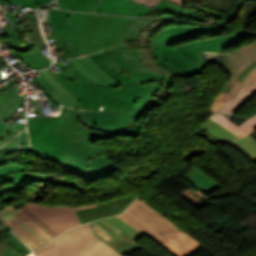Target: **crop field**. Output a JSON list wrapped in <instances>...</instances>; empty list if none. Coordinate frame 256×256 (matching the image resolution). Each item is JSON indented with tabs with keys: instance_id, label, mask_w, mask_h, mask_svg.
Listing matches in <instances>:
<instances>
[{
	"instance_id": "8a807250",
	"label": "crop field",
	"mask_w": 256,
	"mask_h": 256,
	"mask_svg": "<svg viewBox=\"0 0 256 256\" xmlns=\"http://www.w3.org/2000/svg\"><path fill=\"white\" fill-rule=\"evenodd\" d=\"M228 29L230 27L226 25L186 26L170 27L159 32L153 40L152 51L159 63L166 66L169 72L155 65L149 56V50L129 51L126 44L117 45L88 57L70 59V62L79 72L100 86H111L123 91L134 83L165 80L163 87L169 88L175 76L187 77L202 72L206 63L200 55L201 52H219L252 36L253 33L239 29L220 38L188 43L174 48L168 46L177 41Z\"/></svg>"
},
{
	"instance_id": "ac0d7876",
	"label": "crop field",
	"mask_w": 256,
	"mask_h": 256,
	"mask_svg": "<svg viewBox=\"0 0 256 256\" xmlns=\"http://www.w3.org/2000/svg\"><path fill=\"white\" fill-rule=\"evenodd\" d=\"M134 19L70 12L66 32L77 57L123 43V33Z\"/></svg>"
},
{
	"instance_id": "34b2d1b8",
	"label": "crop field",
	"mask_w": 256,
	"mask_h": 256,
	"mask_svg": "<svg viewBox=\"0 0 256 256\" xmlns=\"http://www.w3.org/2000/svg\"><path fill=\"white\" fill-rule=\"evenodd\" d=\"M147 235L173 256H189L201 245L140 199L117 216Z\"/></svg>"
},
{
	"instance_id": "412701ff",
	"label": "crop field",
	"mask_w": 256,
	"mask_h": 256,
	"mask_svg": "<svg viewBox=\"0 0 256 256\" xmlns=\"http://www.w3.org/2000/svg\"><path fill=\"white\" fill-rule=\"evenodd\" d=\"M164 81L134 84L121 92L111 87L61 83L80 100L79 108L90 110L141 109Z\"/></svg>"
},
{
	"instance_id": "f4fd0767",
	"label": "crop field",
	"mask_w": 256,
	"mask_h": 256,
	"mask_svg": "<svg viewBox=\"0 0 256 256\" xmlns=\"http://www.w3.org/2000/svg\"><path fill=\"white\" fill-rule=\"evenodd\" d=\"M35 154L47 162L60 166L82 177L88 183L108 177L120 170L105 156L99 153L88 139L69 142L65 161Z\"/></svg>"
},
{
	"instance_id": "dd49c442",
	"label": "crop field",
	"mask_w": 256,
	"mask_h": 256,
	"mask_svg": "<svg viewBox=\"0 0 256 256\" xmlns=\"http://www.w3.org/2000/svg\"><path fill=\"white\" fill-rule=\"evenodd\" d=\"M101 242L93 235L90 226L85 224L68 230L34 254L36 256H120Z\"/></svg>"
},
{
	"instance_id": "e52e79f7",
	"label": "crop field",
	"mask_w": 256,
	"mask_h": 256,
	"mask_svg": "<svg viewBox=\"0 0 256 256\" xmlns=\"http://www.w3.org/2000/svg\"><path fill=\"white\" fill-rule=\"evenodd\" d=\"M17 204L6 206L0 210V223H4L11 227L16 235L32 250L43 246L48 243L35 231H33L24 222L30 220L43 232H45L52 239L58 235L52 228L38 218L33 212H31L25 206L15 209ZM9 227V228H10Z\"/></svg>"
},
{
	"instance_id": "d8731c3e",
	"label": "crop field",
	"mask_w": 256,
	"mask_h": 256,
	"mask_svg": "<svg viewBox=\"0 0 256 256\" xmlns=\"http://www.w3.org/2000/svg\"><path fill=\"white\" fill-rule=\"evenodd\" d=\"M148 110L84 111L89 128L119 136L136 137L141 130L136 120Z\"/></svg>"
},
{
	"instance_id": "5a996713",
	"label": "crop field",
	"mask_w": 256,
	"mask_h": 256,
	"mask_svg": "<svg viewBox=\"0 0 256 256\" xmlns=\"http://www.w3.org/2000/svg\"><path fill=\"white\" fill-rule=\"evenodd\" d=\"M53 133L60 134L76 140L88 138L94 140H107L115 136L91 130L87 126L83 110L68 108L60 127L56 126Z\"/></svg>"
},
{
	"instance_id": "3316defc",
	"label": "crop field",
	"mask_w": 256,
	"mask_h": 256,
	"mask_svg": "<svg viewBox=\"0 0 256 256\" xmlns=\"http://www.w3.org/2000/svg\"><path fill=\"white\" fill-rule=\"evenodd\" d=\"M38 217L61 234L80 223L73 207L25 204Z\"/></svg>"
},
{
	"instance_id": "28ad6ade",
	"label": "crop field",
	"mask_w": 256,
	"mask_h": 256,
	"mask_svg": "<svg viewBox=\"0 0 256 256\" xmlns=\"http://www.w3.org/2000/svg\"><path fill=\"white\" fill-rule=\"evenodd\" d=\"M256 62V42L242 47L225 56L223 72L231 75L221 92L227 94L234 82L252 64Z\"/></svg>"
},
{
	"instance_id": "d1516ede",
	"label": "crop field",
	"mask_w": 256,
	"mask_h": 256,
	"mask_svg": "<svg viewBox=\"0 0 256 256\" xmlns=\"http://www.w3.org/2000/svg\"><path fill=\"white\" fill-rule=\"evenodd\" d=\"M135 198L131 195L123 196L111 201L98 204L99 207L76 211L81 223L114 216L122 213Z\"/></svg>"
},
{
	"instance_id": "22f410ed",
	"label": "crop field",
	"mask_w": 256,
	"mask_h": 256,
	"mask_svg": "<svg viewBox=\"0 0 256 256\" xmlns=\"http://www.w3.org/2000/svg\"><path fill=\"white\" fill-rule=\"evenodd\" d=\"M90 226L97 238L109 244L116 250L135 242L134 239L129 237L123 231L103 219L91 222Z\"/></svg>"
},
{
	"instance_id": "cbeb9de0",
	"label": "crop field",
	"mask_w": 256,
	"mask_h": 256,
	"mask_svg": "<svg viewBox=\"0 0 256 256\" xmlns=\"http://www.w3.org/2000/svg\"><path fill=\"white\" fill-rule=\"evenodd\" d=\"M254 85H256V68L251 73H249L242 82H235L233 87L228 92V95L233 97L216 112L232 114L253 94L247 90Z\"/></svg>"
},
{
	"instance_id": "5142ce71",
	"label": "crop field",
	"mask_w": 256,
	"mask_h": 256,
	"mask_svg": "<svg viewBox=\"0 0 256 256\" xmlns=\"http://www.w3.org/2000/svg\"><path fill=\"white\" fill-rule=\"evenodd\" d=\"M42 73L46 78L35 82L43 87L48 96L65 106L78 108L79 101L58 83L61 81L50 69L44 70Z\"/></svg>"
},
{
	"instance_id": "d9b57169",
	"label": "crop field",
	"mask_w": 256,
	"mask_h": 256,
	"mask_svg": "<svg viewBox=\"0 0 256 256\" xmlns=\"http://www.w3.org/2000/svg\"><path fill=\"white\" fill-rule=\"evenodd\" d=\"M155 9L148 8L127 0H102L95 12L143 16Z\"/></svg>"
},
{
	"instance_id": "733c2abd",
	"label": "crop field",
	"mask_w": 256,
	"mask_h": 256,
	"mask_svg": "<svg viewBox=\"0 0 256 256\" xmlns=\"http://www.w3.org/2000/svg\"><path fill=\"white\" fill-rule=\"evenodd\" d=\"M35 103V113L37 117H40V101L34 100ZM67 108L62 107L61 115L56 118H49L55 119L53 125L49 128V130L43 135V137L37 143V146L65 152L67 150L68 141H73V139H69L60 135H56L51 133L52 130L55 128L56 125H60L62 118L66 112Z\"/></svg>"
},
{
	"instance_id": "4a817a6b",
	"label": "crop field",
	"mask_w": 256,
	"mask_h": 256,
	"mask_svg": "<svg viewBox=\"0 0 256 256\" xmlns=\"http://www.w3.org/2000/svg\"><path fill=\"white\" fill-rule=\"evenodd\" d=\"M15 85L0 93V118L5 122L22 104V95H19Z\"/></svg>"
},
{
	"instance_id": "bc2a9ffb",
	"label": "crop field",
	"mask_w": 256,
	"mask_h": 256,
	"mask_svg": "<svg viewBox=\"0 0 256 256\" xmlns=\"http://www.w3.org/2000/svg\"><path fill=\"white\" fill-rule=\"evenodd\" d=\"M209 118L218 122L240 138L256 129V113L244 123H242L239 127L230 123L231 121L229 122L228 119L222 115H212Z\"/></svg>"
},
{
	"instance_id": "214f88e0",
	"label": "crop field",
	"mask_w": 256,
	"mask_h": 256,
	"mask_svg": "<svg viewBox=\"0 0 256 256\" xmlns=\"http://www.w3.org/2000/svg\"><path fill=\"white\" fill-rule=\"evenodd\" d=\"M188 178L198 189L209 193L210 191L218 188L220 185L213 181L209 176H207L204 172L197 169L196 167H192L190 171L185 176ZM205 193V194H206Z\"/></svg>"
},
{
	"instance_id": "92a150f3",
	"label": "crop field",
	"mask_w": 256,
	"mask_h": 256,
	"mask_svg": "<svg viewBox=\"0 0 256 256\" xmlns=\"http://www.w3.org/2000/svg\"><path fill=\"white\" fill-rule=\"evenodd\" d=\"M37 23L35 11L22 14V24L34 42L35 47L45 44Z\"/></svg>"
},
{
	"instance_id": "dafd665d",
	"label": "crop field",
	"mask_w": 256,
	"mask_h": 256,
	"mask_svg": "<svg viewBox=\"0 0 256 256\" xmlns=\"http://www.w3.org/2000/svg\"><path fill=\"white\" fill-rule=\"evenodd\" d=\"M228 145L250 159L252 162H256V140L250 135L238 141L229 142Z\"/></svg>"
},
{
	"instance_id": "00972430",
	"label": "crop field",
	"mask_w": 256,
	"mask_h": 256,
	"mask_svg": "<svg viewBox=\"0 0 256 256\" xmlns=\"http://www.w3.org/2000/svg\"><path fill=\"white\" fill-rule=\"evenodd\" d=\"M14 185L5 187L8 191L21 190L25 186V179L44 181L52 183L54 176L38 175L32 173H14L12 174Z\"/></svg>"
},
{
	"instance_id": "a9b5d70f",
	"label": "crop field",
	"mask_w": 256,
	"mask_h": 256,
	"mask_svg": "<svg viewBox=\"0 0 256 256\" xmlns=\"http://www.w3.org/2000/svg\"><path fill=\"white\" fill-rule=\"evenodd\" d=\"M7 33L3 34L4 38L8 41V47L16 49L18 51H27L30 50L31 45L24 39H21L17 32L12 28L8 23L5 24L2 28Z\"/></svg>"
},
{
	"instance_id": "4177f3b9",
	"label": "crop field",
	"mask_w": 256,
	"mask_h": 256,
	"mask_svg": "<svg viewBox=\"0 0 256 256\" xmlns=\"http://www.w3.org/2000/svg\"><path fill=\"white\" fill-rule=\"evenodd\" d=\"M53 120L35 118V120H29V134L31 145L38 142L42 135L51 126Z\"/></svg>"
},
{
	"instance_id": "730fd06b",
	"label": "crop field",
	"mask_w": 256,
	"mask_h": 256,
	"mask_svg": "<svg viewBox=\"0 0 256 256\" xmlns=\"http://www.w3.org/2000/svg\"><path fill=\"white\" fill-rule=\"evenodd\" d=\"M53 34L55 36L56 41H58L59 47L55 48L57 54L61 56V59H67V58H74L76 57L75 53L73 52L69 41L67 34L65 32V29L61 30H53Z\"/></svg>"
},
{
	"instance_id": "eef30255",
	"label": "crop field",
	"mask_w": 256,
	"mask_h": 256,
	"mask_svg": "<svg viewBox=\"0 0 256 256\" xmlns=\"http://www.w3.org/2000/svg\"><path fill=\"white\" fill-rule=\"evenodd\" d=\"M200 128L212 133L214 136L223 140L225 143L239 138L209 118Z\"/></svg>"
},
{
	"instance_id": "ae1a2a85",
	"label": "crop field",
	"mask_w": 256,
	"mask_h": 256,
	"mask_svg": "<svg viewBox=\"0 0 256 256\" xmlns=\"http://www.w3.org/2000/svg\"><path fill=\"white\" fill-rule=\"evenodd\" d=\"M58 66L61 70V73L57 74L59 79L62 82H70V83H79V84H87V85H95L81 73H79L76 68L66 71L60 62L53 64Z\"/></svg>"
},
{
	"instance_id": "d3111659",
	"label": "crop field",
	"mask_w": 256,
	"mask_h": 256,
	"mask_svg": "<svg viewBox=\"0 0 256 256\" xmlns=\"http://www.w3.org/2000/svg\"><path fill=\"white\" fill-rule=\"evenodd\" d=\"M57 2L59 8L93 12L100 0H57Z\"/></svg>"
},
{
	"instance_id": "750c4746",
	"label": "crop field",
	"mask_w": 256,
	"mask_h": 256,
	"mask_svg": "<svg viewBox=\"0 0 256 256\" xmlns=\"http://www.w3.org/2000/svg\"><path fill=\"white\" fill-rule=\"evenodd\" d=\"M196 8H198V7H196ZM198 9H200L198 12L194 11V10L185 9L183 11V13L181 14V16H183L186 19L192 18V19H195L200 22L213 20L215 18H220V17L225 16L224 14H220L214 10H205L202 8H198Z\"/></svg>"
},
{
	"instance_id": "bd1437ed",
	"label": "crop field",
	"mask_w": 256,
	"mask_h": 256,
	"mask_svg": "<svg viewBox=\"0 0 256 256\" xmlns=\"http://www.w3.org/2000/svg\"><path fill=\"white\" fill-rule=\"evenodd\" d=\"M16 55L36 70H41L50 66L48 62L35 49H33V51L29 54Z\"/></svg>"
},
{
	"instance_id": "1d83c4d3",
	"label": "crop field",
	"mask_w": 256,
	"mask_h": 256,
	"mask_svg": "<svg viewBox=\"0 0 256 256\" xmlns=\"http://www.w3.org/2000/svg\"><path fill=\"white\" fill-rule=\"evenodd\" d=\"M153 20L137 19L125 32V41L138 39L141 29L145 28Z\"/></svg>"
},
{
	"instance_id": "120bbe31",
	"label": "crop field",
	"mask_w": 256,
	"mask_h": 256,
	"mask_svg": "<svg viewBox=\"0 0 256 256\" xmlns=\"http://www.w3.org/2000/svg\"><path fill=\"white\" fill-rule=\"evenodd\" d=\"M105 220L110 222V223H112L113 225L117 226L118 228H120L121 230L126 232L128 235H130L135 240L139 239L143 235L142 233L137 231L135 228H133L132 226L128 225L124 221L120 220L116 216L111 217V218H107Z\"/></svg>"
},
{
	"instance_id": "d32e631a",
	"label": "crop field",
	"mask_w": 256,
	"mask_h": 256,
	"mask_svg": "<svg viewBox=\"0 0 256 256\" xmlns=\"http://www.w3.org/2000/svg\"><path fill=\"white\" fill-rule=\"evenodd\" d=\"M49 12H50L52 28L53 29L65 28V20L69 12L56 10V9H49Z\"/></svg>"
},
{
	"instance_id": "5866460e",
	"label": "crop field",
	"mask_w": 256,
	"mask_h": 256,
	"mask_svg": "<svg viewBox=\"0 0 256 256\" xmlns=\"http://www.w3.org/2000/svg\"><path fill=\"white\" fill-rule=\"evenodd\" d=\"M161 24L157 23L156 25L150 24L145 29L142 30L140 34V46L141 48H145L148 45L149 37L154 31L155 28H158Z\"/></svg>"
},
{
	"instance_id": "028f5c9d",
	"label": "crop field",
	"mask_w": 256,
	"mask_h": 256,
	"mask_svg": "<svg viewBox=\"0 0 256 256\" xmlns=\"http://www.w3.org/2000/svg\"><path fill=\"white\" fill-rule=\"evenodd\" d=\"M31 150L43 155H47V156H51V157H55L63 160L65 159V155H66L65 153H61V152H57V151H53V150H49V149H45L37 146L31 147Z\"/></svg>"
},
{
	"instance_id": "e1f06a70",
	"label": "crop field",
	"mask_w": 256,
	"mask_h": 256,
	"mask_svg": "<svg viewBox=\"0 0 256 256\" xmlns=\"http://www.w3.org/2000/svg\"><path fill=\"white\" fill-rule=\"evenodd\" d=\"M155 8L160 9V10H164V11H168V12H172V13H176V14H179V15L184 10V9H182L178 6H175V5H173L169 2H166L164 0H161Z\"/></svg>"
},
{
	"instance_id": "0bd39190",
	"label": "crop field",
	"mask_w": 256,
	"mask_h": 256,
	"mask_svg": "<svg viewBox=\"0 0 256 256\" xmlns=\"http://www.w3.org/2000/svg\"><path fill=\"white\" fill-rule=\"evenodd\" d=\"M231 96L225 95L223 93H219L218 96L215 98L213 103L210 105L207 111L215 112L218 108H220L227 100H229Z\"/></svg>"
},
{
	"instance_id": "b80d0937",
	"label": "crop field",
	"mask_w": 256,
	"mask_h": 256,
	"mask_svg": "<svg viewBox=\"0 0 256 256\" xmlns=\"http://www.w3.org/2000/svg\"><path fill=\"white\" fill-rule=\"evenodd\" d=\"M25 168L18 165H6L0 167V178L13 173V172H24Z\"/></svg>"
},
{
	"instance_id": "c035e120",
	"label": "crop field",
	"mask_w": 256,
	"mask_h": 256,
	"mask_svg": "<svg viewBox=\"0 0 256 256\" xmlns=\"http://www.w3.org/2000/svg\"><path fill=\"white\" fill-rule=\"evenodd\" d=\"M131 1L154 8L160 0H131ZM167 1L173 4H176L182 8H183L182 3L185 2L183 0H167Z\"/></svg>"
},
{
	"instance_id": "c21b1889",
	"label": "crop field",
	"mask_w": 256,
	"mask_h": 256,
	"mask_svg": "<svg viewBox=\"0 0 256 256\" xmlns=\"http://www.w3.org/2000/svg\"><path fill=\"white\" fill-rule=\"evenodd\" d=\"M18 140H19V135L16 136L14 139H12L10 142H8L5 146H3L0 149L2 154L6 155L11 152L17 151L18 150Z\"/></svg>"
},
{
	"instance_id": "03da06ac",
	"label": "crop field",
	"mask_w": 256,
	"mask_h": 256,
	"mask_svg": "<svg viewBox=\"0 0 256 256\" xmlns=\"http://www.w3.org/2000/svg\"><path fill=\"white\" fill-rule=\"evenodd\" d=\"M0 256H20L3 242L0 243Z\"/></svg>"
},
{
	"instance_id": "b54c1fbb",
	"label": "crop field",
	"mask_w": 256,
	"mask_h": 256,
	"mask_svg": "<svg viewBox=\"0 0 256 256\" xmlns=\"http://www.w3.org/2000/svg\"><path fill=\"white\" fill-rule=\"evenodd\" d=\"M16 132L14 129L10 128L2 133H0V146L3 145L7 140L14 136ZM17 135V134H16ZM13 138V137H12Z\"/></svg>"
},
{
	"instance_id": "5d738f31",
	"label": "crop field",
	"mask_w": 256,
	"mask_h": 256,
	"mask_svg": "<svg viewBox=\"0 0 256 256\" xmlns=\"http://www.w3.org/2000/svg\"><path fill=\"white\" fill-rule=\"evenodd\" d=\"M32 229H34L38 234H40L44 239H46L48 242L51 240L45 233H43L39 228H37L33 223L30 221L26 222Z\"/></svg>"
},
{
	"instance_id": "d23c7cc5",
	"label": "crop field",
	"mask_w": 256,
	"mask_h": 256,
	"mask_svg": "<svg viewBox=\"0 0 256 256\" xmlns=\"http://www.w3.org/2000/svg\"><path fill=\"white\" fill-rule=\"evenodd\" d=\"M12 181L11 175H8L4 177L2 180H0V184L3 182ZM8 191L3 187L0 189V195L7 193Z\"/></svg>"
},
{
	"instance_id": "425ffa30",
	"label": "crop field",
	"mask_w": 256,
	"mask_h": 256,
	"mask_svg": "<svg viewBox=\"0 0 256 256\" xmlns=\"http://www.w3.org/2000/svg\"><path fill=\"white\" fill-rule=\"evenodd\" d=\"M256 67V63L254 65H252L250 68H248L239 78L240 81H242L244 79V77L250 72L252 71L254 68Z\"/></svg>"
},
{
	"instance_id": "25e5ab78",
	"label": "crop field",
	"mask_w": 256,
	"mask_h": 256,
	"mask_svg": "<svg viewBox=\"0 0 256 256\" xmlns=\"http://www.w3.org/2000/svg\"><path fill=\"white\" fill-rule=\"evenodd\" d=\"M10 126L0 120V132L8 129Z\"/></svg>"
},
{
	"instance_id": "73cf0c24",
	"label": "crop field",
	"mask_w": 256,
	"mask_h": 256,
	"mask_svg": "<svg viewBox=\"0 0 256 256\" xmlns=\"http://www.w3.org/2000/svg\"><path fill=\"white\" fill-rule=\"evenodd\" d=\"M20 1L21 3L25 4L26 6H28L29 8L31 9H34L36 8L34 5H32L31 3H29L27 0H18Z\"/></svg>"
},
{
	"instance_id": "89e229c0",
	"label": "crop field",
	"mask_w": 256,
	"mask_h": 256,
	"mask_svg": "<svg viewBox=\"0 0 256 256\" xmlns=\"http://www.w3.org/2000/svg\"><path fill=\"white\" fill-rule=\"evenodd\" d=\"M6 16L11 20L13 24H18L19 22L15 18V16H11L10 13L6 14Z\"/></svg>"
},
{
	"instance_id": "1f2cbd36",
	"label": "crop field",
	"mask_w": 256,
	"mask_h": 256,
	"mask_svg": "<svg viewBox=\"0 0 256 256\" xmlns=\"http://www.w3.org/2000/svg\"><path fill=\"white\" fill-rule=\"evenodd\" d=\"M97 205L96 204H90V205H85V206H79V207H74L75 210H78V209H84V208H90V207H96Z\"/></svg>"
},
{
	"instance_id": "dbb93151",
	"label": "crop field",
	"mask_w": 256,
	"mask_h": 256,
	"mask_svg": "<svg viewBox=\"0 0 256 256\" xmlns=\"http://www.w3.org/2000/svg\"><path fill=\"white\" fill-rule=\"evenodd\" d=\"M8 162V159L0 153V165Z\"/></svg>"
},
{
	"instance_id": "0fb4a251",
	"label": "crop field",
	"mask_w": 256,
	"mask_h": 256,
	"mask_svg": "<svg viewBox=\"0 0 256 256\" xmlns=\"http://www.w3.org/2000/svg\"><path fill=\"white\" fill-rule=\"evenodd\" d=\"M41 47V46H40ZM40 47H36L35 49L42 55L41 51H40ZM43 56V55H42ZM44 57V56H43ZM49 63H50V59L47 57H44Z\"/></svg>"
},
{
	"instance_id": "1d79db26",
	"label": "crop field",
	"mask_w": 256,
	"mask_h": 256,
	"mask_svg": "<svg viewBox=\"0 0 256 256\" xmlns=\"http://www.w3.org/2000/svg\"><path fill=\"white\" fill-rule=\"evenodd\" d=\"M35 1H36V3L39 4L40 6L43 5L42 2H41V0H35Z\"/></svg>"
},
{
	"instance_id": "9d1cf04e",
	"label": "crop field",
	"mask_w": 256,
	"mask_h": 256,
	"mask_svg": "<svg viewBox=\"0 0 256 256\" xmlns=\"http://www.w3.org/2000/svg\"><path fill=\"white\" fill-rule=\"evenodd\" d=\"M249 91L256 92V86H254L253 88H251Z\"/></svg>"
},
{
	"instance_id": "447ae74e",
	"label": "crop field",
	"mask_w": 256,
	"mask_h": 256,
	"mask_svg": "<svg viewBox=\"0 0 256 256\" xmlns=\"http://www.w3.org/2000/svg\"><path fill=\"white\" fill-rule=\"evenodd\" d=\"M43 4H47L48 2H50V0H42Z\"/></svg>"
},
{
	"instance_id": "0765c3eb",
	"label": "crop field",
	"mask_w": 256,
	"mask_h": 256,
	"mask_svg": "<svg viewBox=\"0 0 256 256\" xmlns=\"http://www.w3.org/2000/svg\"><path fill=\"white\" fill-rule=\"evenodd\" d=\"M6 64L3 62L1 65H0V69L5 66Z\"/></svg>"
},
{
	"instance_id": "db79e9e6",
	"label": "crop field",
	"mask_w": 256,
	"mask_h": 256,
	"mask_svg": "<svg viewBox=\"0 0 256 256\" xmlns=\"http://www.w3.org/2000/svg\"><path fill=\"white\" fill-rule=\"evenodd\" d=\"M28 1H30V2H31L32 4H34V5L36 4V3L34 2V0H28Z\"/></svg>"
},
{
	"instance_id": "7b73153f",
	"label": "crop field",
	"mask_w": 256,
	"mask_h": 256,
	"mask_svg": "<svg viewBox=\"0 0 256 256\" xmlns=\"http://www.w3.org/2000/svg\"><path fill=\"white\" fill-rule=\"evenodd\" d=\"M4 0H0V4H3V3H5V2H3ZM9 1H11V0H9Z\"/></svg>"
},
{
	"instance_id": "78b8030e",
	"label": "crop field",
	"mask_w": 256,
	"mask_h": 256,
	"mask_svg": "<svg viewBox=\"0 0 256 256\" xmlns=\"http://www.w3.org/2000/svg\"><path fill=\"white\" fill-rule=\"evenodd\" d=\"M30 256H35L33 253Z\"/></svg>"
},
{
	"instance_id": "0f1d7ab4",
	"label": "crop field",
	"mask_w": 256,
	"mask_h": 256,
	"mask_svg": "<svg viewBox=\"0 0 256 256\" xmlns=\"http://www.w3.org/2000/svg\"><path fill=\"white\" fill-rule=\"evenodd\" d=\"M1 73V72H0Z\"/></svg>"
}]
</instances>
